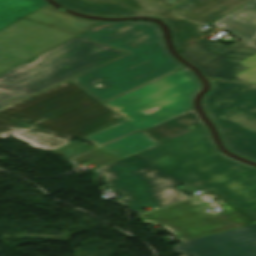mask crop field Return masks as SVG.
I'll return each mask as SVG.
<instances>
[{"mask_svg":"<svg viewBox=\"0 0 256 256\" xmlns=\"http://www.w3.org/2000/svg\"><path fill=\"white\" fill-rule=\"evenodd\" d=\"M142 133L158 145L94 169L106 176L101 189L111 187L123 197L117 202L138 214L142 207L156 209L188 198L177 185L185 184L188 192L207 191L138 217L181 241L256 223V208L249 209L256 205V168L218 151L194 109ZM215 207L222 211H205Z\"/></svg>","mask_w":256,"mask_h":256,"instance_id":"crop-field-1","label":"crop field"},{"mask_svg":"<svg viewBox=\"0 0 256 256\" xmlns=\"http://www.w3.org/2000/svg\"><path fill=\"white\" fill-rule=\"evenodd\" d=\"M122 121L68 81L0 110V137L11 135L51 150ZM59 134H63L59 137Z\"/></svg>","mask_w":256,"mask_h":256,"instance_id":"crop-field-2","label":"crop field"},{"mask_svg":"<svg viewBox=\"0 0 256 256\" xmlns=\"http://www.w3.org/2000/svg\"><path fill=\"white\" fill-rule=\"evenodd\" d=\"M78 36L129 52L70 78L101 102L184 67L150 22L101 21Z\"/></svg>","mask_w":256,"mask_h":256,"instance_id":"crop-field-3","label":"crop field"},{"mask_svg":"<svg viewBox=\"0 0 256 256\" xmlns=\"http://www.w3.org/2000/svg\"><path fill=\"white\" fill-rule=\"evenodd\" d=\"M125 53L76 36L36 56L31 63L20 64L0 74V106Z\"/></svg>","mask_w":256,"mask_h":256,"instance_id":"crop-field-4","label":"crop field"},{"mask_svg":"<svg viewBox=\"0 0 256 256\" xmlns=\"http://www.w3.org/2000/svg\"><path fill=\"white\" fill-rule=\"evenodd\" d=\"M80 12L104 16L148 15L169 24L178 48L204 35L199 29L252 0H185L168 10L146 0H56Z\"/></svg>","mask_w":256,"mask_h":256,"instance_id":"crop-field-5","label":"crop field"},{"mask_svg":"<svg viewBox=\"0 0 256 256\" xmlns=\"http://www.w3.org/2000/svg\"><path fill=\"white\" fill-rule=\"evenodd\" d=\"M200 88L199 80L185 67L103 104L142 131L192 109Z\"/></svg>","mask_w":256,"mask_h":256,"instance_id":"crop-field-6","label":"crop field"},{"mask_svg":"<svg viewBox=\"0 0 256 256\" xmlns=\"http://www.w3.org/2000/svg\"><path fill=\"white\" fill-rule=\"evenodd\" d=\"M210 83L212 90L204 96L202 105L222 141L231 152L256 161V85Z\"/></svg>","mask_w":256,"mask_h":256,"instance_id":"crop-field-7","label":"crop field"},{"mask_svg":"<svg viewBox=\"0 0 256 256\" xmlns=\"http://www.w3.org/2000/svg\"><path fill=\"white\" fill-rule=\"evenodd\" d=\"M181 54L207 77L256 83L254 44L240 40L226 47L207 39Z\"/></svg>","mask_w":256,"mask_h":256,"instance_id":"crop-field-8","label":"crop field"},{"mask_svg":"<svg viewBox=\"0 0 256 256\" xmlns=\"http://www.w3.org/2000/svg\"><path fill=\"white\" fill-rule=\"evenodd\" d=\"M28 20L0 34V73L73 37Z\"/></svg>","mask_w":256,"mask_h":256,"instance_id":"crop-field-9","label":"crop field"},{"mask_svg":"<svg viewBox=\"0 0 256 256\" xmlns=\"http://www.w3.org/2000/svg\"><path fill=\"white\" fill-rule=\"evenodd\" d=\"M174 251L189 256H256V224L184 241Z\"/></svg>","mask_w":256,"mask_h":256,"instance_id":"crop-field-10","label":"crop field"},{"mask_svg":"<svg viewBox=\"0 0 256 256\" xmlns=\"http://www.w3.org/2000/svg\"><path fill=\"white\" fill-rule=\"evenodd\" d=\"M135 131H137V129L124 120L120 123L85 136L81 138V140L89 141L92 143V145L100 148L99 146L103 144H106ZM156 144L157 143L143 135L141 132H138L129 137L104 146L101 149L121 158H125L133 153L147 149Z\"/></svg>","mask_w":256,"mask_h":256,"instance_id":"crop-field-11","label":"crop field"},{"mask_svg":"<svg viewBox=\"0 0 256 256\" xmlns=\"http://www.w3.org/2000/svg\"><path fill=\"white\" fill-rule=\"evenodd\" d=\"M211 26L222 28L247 41L256 37V0L218 20Z\"/></svg>","mask_w":256,"mask_h":256,"instance_id":"crop-field-12","label":"crop field"},{"mask_svg":"<svg viewBox=\"0 0 256 256\" xmlns=\"http://www.w3.org/2000/svg\"><path fill=\"white\" fill-rule=\"evenodd\" d=\"M33 19L35 23L44 22L47 26L71 34H79L99 21L84 20L77 17L62 13L50 5H45L35 13L25 17V19Z\"/></svg>","mask_w":256,"mask_h":256,"instance_id":"crop-field-13","label":"crop field"},{"mask_svg":"<svg viewBox=\"0 0 256 256\" xmlns=\"http://www.w3.org/2000/svg\"><path fill=\"white\" fill-rule=\"evenodd\" d=\"M93 148H95L96 150L90 153H87L85 155L79 156L77 158H74L73 160L78 163L88 160L98 166H101V165L108 164L121 159L101 149H98L94 146H90L79 141L72 142L64 146L58 147L56 149L51 150V152H54L56 154L62 155L67 158H72L78 154H81Z\"/></svg>","mask_w":256,"mask_h":256,"instance_id":"crop-field-14","label":"crop field"},{"mask_svg":"<svg viewBox=\"0 0 256 256\" xmlns=\"http://www.w3.org/2000/svg\"><path fill=\"white\" fill-rule=\"evenodd\" d=\"M47 4L43 0H0V30Z\"/></svg>","mask_w":256,"mask_h":256,"instance_id":"crop-field-15","label":"crop field"},{"mask_svg":"<svg viewBox=\"0 0 256 256\" xmlns=\"http://www.w3.org/2000/svg\"><path fill=\"white\" fill-rule=\"evenodd\" d=\"M148 1H151L153 3H156L158 5H161L163 7L170 9L184 0H148Z\"/></svg>","mask_w":256,"mask_h":256,"instance_id":"crop-field-16","label":"crop field"},{"mask_svg":"<svg viewBox=\"0 0 256 256\" xmlns=\"http://www.w3.org/2000/svg\"><path fill=\"white\" fill-rule=\"evenodd\" d=\"M22 21H24V19H21V20H19L18 22L14 23V24H12V25H10V26H8L7 28H5V30H7V29H9V28H11V27H13V26H15L16 24H18V23H20V22H22Z\"/></svg>","mask_w":256,"mask_h":256,"instance_id":"crop-field-17","label":"crop field"},{"mask_svg":"<svg viewBox=\"0 0 256 256\" xmlns=\"http://www.w3.org/2000/svg\"><path fill=\"white\" fill-rule=\"evenodd\" d=\"M4 32V30L0 31V33Z\"/></svg>","mask_w":256,"mask_h":256,"instance_id":"crop-field-18","label":"crop field"},{"mask_svg":"<svg viewBox=\"0 0 256 256\" xmlns=\"http://www.w3.org/2000/svg\"><path fill=\"white\" fill-rule=\"evenodd\" d=\"M256 43V42H255Z\"/></svg>","mask_w":256,"mask_h":256,"instance_id":"crop-field-19","label":"crop field"}]
</instances>
